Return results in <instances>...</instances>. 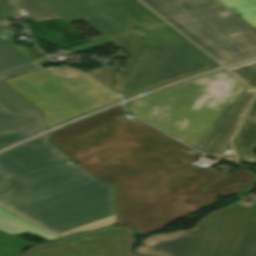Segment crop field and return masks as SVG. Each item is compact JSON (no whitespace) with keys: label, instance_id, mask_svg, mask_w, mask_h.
<instances>
[{"label":"crop field","instance_id":"obj_1","mask_svg":"<svg viewBox=\"0 0 256 256\" xmlns=\"http://www.w3.org/2000/svg\"><path fill=\"white\" fill-rule=\"evenodd\" d=\"M121 106L53 132L51 141L103 184L116 185L117 224L159 230L215 201L203 190L227 176L193 164L189 147Z\"/></svg>","mask_w":256,"mask_h":256},{"label":"crop field","instance_id":"obj_2","mask_svg":"<svg viewBox=\"0 0 256 256\" xmlns=\"http://www.w3.org/2000/svg\"><path fill=\"white\" fill-rule=\"evenodd\" d=\"M68 22L83 20L131 55L123 99L218 64L137 0H41ZM137 28L142 35H135Z\"/></svg>","mask_w":256,"mask_h":256},{"label":"crop field","instance_id":"obj_3","mask_svg":"<svg viewBox=\"0 0 256 256\" xmlns=\"http://www.w3.org/2000/svg\"><path fill=\"white\" fill-rule=\"evenodd\" d=\"M0 203L63 236L114 223V186L66 162L0 183Z\"/></svg>","mask_w":256,"mask_h":256},{"label":"crop field","instance_id":"obj_4","mask_svg":"<svg viewBox=\"0 0 256 256\" xmlns=\"http://www.w3.org/2000/svg\"><path fill=\"white\" fill-rule=\"evenodd\" d=\"M246 87L223 70L137 99L127 108L196 147Z\"/></svg>","mask_w":256,"mask_h":256},{"label":"crop field","instance_id":"obj_5","mask_svg":"<svg viewBox=\"0 0 256 256\" xmlns=\"http://www.w3.org/2000/svg\"><path fill=\"white\" fill-rule=\"evenodd\" d=\"M222 65L256 55V30L218 0H141Z\"/></svg>","mask_w":256,"mask_h":256},{"label":"crop field","instance_id":"obj_6","mask_svg":"<svg viewBox=\"0 0 256 256\" xmlns=\"http://www.w3.org/2000/svg\"><path fill=\"white\" fill-rule=\"evenodd\" d=\"M3 82L44 113L46 128L119 101L81 73L63 67H48Z\"/></svg>","mask_w":256,"mask_h":256},{"label":"crop field","instance_id":"obj_7","mask_svg":"<svg viewBox=\"0 0 256 256\" xmlns=\"http://www.w3.org/2000/svg\"><path fill=\"white\" fill-rule=\"evenodd\" d=\"M184 256H256V203L235 204L205 218Z\"/></svg>","mask_w":256,"mask_h":256},{"label":"crop field","instance_id":"obj_8","mask_svg":"<svg viewBox=\"0 0 256 256\" xmlns=\"http://www.w3.org/2000/svg\"><path fill=\"white\" fill-rule=\"evenodd\" d=\"M50 143L45 135L0 154V181L69 160Z\"/></svg>","mask_w":256,"mask_h":256},{"label":"crop field","instance_id":"obj_9","mask_svg":"<svg viewBox=\"0 0 256 256\" xmlns=\"http://www.w3.org/2000/svg\"><path fill=\"white\" fill-rule=\"evenodd\" d=\"M32 71H36V68L0 39V102L12 111L43 114L2 82L5 78Z\"/></svg>","mask_w":256,"mask_h":256},{"label":"crop field","instance_id":"obj_10","mask_svg":"<svg viewBox=\"0 0 256 256\" xmlns=\"http://www.w3.org/2000/svg\"><path fill=\"white\" fill-rule=\"evenodd\" d=\"M253 95L254 92L244 90L196 148L214 157L221 158L224 156L222 153L229 145V139L231 137L227 133L232 128H237Z\"/></svg>","mask_w":256,"mask_h":256},{"label":"crop field","instance_id":"obj_11","mask_svg":"<svg viewBox=\"0 0 256 256\" xmlns=\"http://www.w3.org/2000/svg\"><path fill=\"white\" fill-rule=\"evenodd\" d=\"M251 87L256 88V60L229 68ZM233 144L240 154V160L256 162V98L252 102L248 114L238 130ZM256 164V163H255Z\"/></svg>","mask_w":256,"mask_h":256},{"label":"crop field","instance_id":"obj_12","mask_svg":"<svg viewBox=\"0 0 256 256\" xmlns=\"http://www.w3.org/2000/svg\"><path fill=\"white\" fill-rule=\"evenodd\" d=\"M43 129L41 115L12 112L0 103V148Z\"/></svg>","mask_w":256,"mask_h":256},{"label":"crop field","instance_id":"obj_13","mask_svg":"<svg viewBox=\"0 0 256 256\" xmlns=\"http://www.w3.org/2000/svg\"><path fill=\"white\" fill-rule=\"evenodd\" d=\"M193 230L194 228L184 232L146 238L134 251L147 255L183 256Z\"/></svg>","mask_w":256,"mask_h":256},{"label":"crop field","instance_id":"obj_14","mask_svg":"<svg viewBox=\"0 0 256 256\" xmlns=\"http://www.w3.org/2000/svg\"><path fill=\"white\" fill-rule=\"evenodd\" d=\"M119 238L118 234H109L39 256H116L114 250Z\"/></svg>","mask_w":256,"mask_h":256},{"label":"crop field","instance_id":"obj_15","mask_svg":"<svg viewBox=\"0 0 256 256\" xmlns=\"http://www.w3.org/2000/svg\"><path fill=\"white\" fill-rule=\"evenodd\" d=\"M255 181L256 175H254V172L240 168L205 190L211 191L221 197H229L234 193L254 189L255 186L253 183Z\"/></svg>","mask_w":256,"mask_h":256},{"label":"crop field","instance_id":"obj_16","mask_svg":"<svg viewBox=\"0 0 256 256\" xmlns=\"http://www.w3.org/2000/svg\"><path fill=\"white\" fill-rule=\"evenodd\" d=\"M0 230L14 233H28L26 230L35 233L48 240L57 238V236L21 217L20 215L10 211L0 205ZM31 234V233H28ZM33 235V234H32Z\"/></svg>","mask_w":256,"mask_h":256},{"label":"crop field","instance_id":"obj_17","mask_svg":"<svg viewBox=\"0 0 256 256\" xmlns=\"http://www.w3.org/2000/svg\"><path fill=\"white\" fill-rule=\"evenodd\" d=\"M21 12L34 14V20H47L61 18L40 0H14Z\"/></svg>","mask_w":256,"mask_h":256},{"label":"crop field","instance_id":"obj_18","mask_svg":"<svg viewBox=\"0 0 256 256\" xmlns=\"http://www.w3.org/2000/svg\"><path fill=\"white\" fill-rule=\"evenodd\" d=\"M238 17L256 29V7L246 0H219Z\"/></svg>","mask_w":256,"mask_h":256},{"label":"crop field","instance_id":"obj_19","mask_svg":"<svg viewBox=\"0 0 256 256\" xmlns=\"http://www.w3.org/2000/svg\"><path fill=\"white\" fill-rule=\"evenodd\" d=\"M30 245L33 244L0 232V256H18Z\"/></svg>","mask_w":256,"mask_h":256},{"label":"crop field","instance_id":"obj_20","mask_svg":"<svg viewBox=\"0 0 256 256\" xmlns=\"http://www.w3.org/2000/svg\"><path fill=\"white\" fill-rule=\"evenodd\" d=\"M109 233H119V234H120L121 239H120V241H119V243H118V245H117V247H116L115 252H116V254H117L118 256H123V255L120 253L119 249H120V246H121V244H122V242H123V240H124V234H123L122 232H120V231H111V232H108V233H104V234H100V235H96V236H92V237H88V238H84V239L72 241V242H69V243H67V244H65V245L59 246V247H55V248H51V249H46V250L39 251V252H37V253H35V254L31 255V256H38L39 254L44 253V252H48V251H51V250L59 249V248H62V247H64V246H67V245H70V244L82 242V241H85V240H88V239H92V238H95V237H99V236H102V235H105V234H109Z\"/></svg>","mask_w":256,"mask_h":256},{"label":"crop field","instance_id":"obj_21","mask_svg":"<svg viewBox=\"0 0 256 256\" xmlns=\"http://www.w3.org/2000/svg\"><path fill=\"white\" fill-rule=\"evenodd\" d=\"M11 9H15V6L11 0H0V13Z\"/></svg>","mask_w":256,"mask_h":256},{"label":"crop field","instance_id":"obj_22","mask_svg":"<svg viewBox=\"0 0 256 256\" xmlns=\"http://www.w3.org/2000/svg\"><path fill=\"white\" fill-rule=\"evenodd\" d=\"M17 9L0 14V21L18 16Z\"/></svg>","mask_w":256,"mask_h":256},{"label":"crop field","instance_id":"obj_23","mask_svg":"<svg viewBox=\"0 0 256 256\" xmlns=\"http://www.w3.org/2000/svg\"><path fill=\"white\" fill-rule=\"evenodd\" d=\"M14 30H18V29L9 27L5 22L0 23V34L11 32V31H14Z\"/></svg>","mask_w":256,"mask_h":256},{"label":"crop field","instance_id":"obj_24","mask_svg":"<svg viewBox=\"0 0 256 256\" xmlns=\"http://www.w3.org/2000/svg\"><path fill=\"white\" fill-rule=\"evenodd\" d=\"M251 2H253L256 5V0H250Z\"/></svg>","mask_w":256,"mask_h":256}]
</instances>
